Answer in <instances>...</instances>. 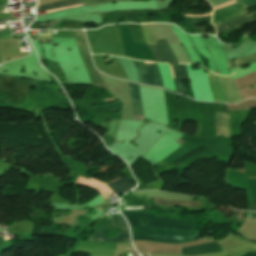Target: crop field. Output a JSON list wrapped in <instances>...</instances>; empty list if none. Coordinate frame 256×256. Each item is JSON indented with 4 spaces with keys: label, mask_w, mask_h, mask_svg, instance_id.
Masks as SVG:
<instances>
[{
    "label": "crop field",
    "mask_w": 256,
    "mask_h": 256,
    "mask_svg": "<svg viewBox=\"0 0 256 256\" xmlns=\"http://www.w3.org/2000/svg\"><path fill=\"white\" fill-rule=\"evenodd\" d=\"M152 198V197H149ZM154 199L155 204H161V205H168V206H174V205H185L190 207H200L201 201H185V200H173L168 199L169 201H166V199L162 198H152Z\"/></svg>",
    "instance_id": "crop-field-12"
},
{
    "label": "crop field",
    "mask_w": 256,
    "mask_h": 256,
    "mask_svg": "<svg viewBox=\"0 0 256 256\" xmlns=\"http://www.w3.org/2000/svg\"><path fill=\"white\" fill-rule=\"evenodd\" d=\"M124 216H142L150 224L182 226L187 228H170L153 225H143L140 217H126L131 231L133 240L146 239L159 242L181 243L182 240L194 239L195 230L192 223L185 221H175L168 217L155 216L148 212H122Z\"/></svg>",
    "instance_id": "crop-field-1"
},
{
    "label": "crop field",
    "mask_w": 256,
    "mask_h": 256,
    "mask_svg": "<svg viewBox=\"0 0 256 256\" xmlns=\"http://www.w3.org/2000/svg\"><path fill=\"white\" fill-rule=\"evenodd\" d=\"M129 83V82H128ZM133 101L134 119L143 120L142 100L139 85L129 83Z\"/></svg>",
    "instance_id": "crop-field-9"
},
{
    "label": "crop field",
    "mask_w": 256,
    "mask_h": 256,
    "mask_svg": "<svg viewBox=\"0 0 256 256\" xmlns=\"http://www.w3.org/2000/svg\"><path fill=\"white\" fill-rule=\"evenodd\" d=\"M227 122L228 114L214 112L213 127L216 136L222 135L228 137Z\"/></svg>",
    "instance_id": "crop-field-10"
},
{
    "label": "crop field",
    "mask_w": 256,
    "mask_h": 256,
    "mask_svg": "<svg viewBox=\"0 0 256 256\" xmlns=\"http://www.w3.org/2000/svg\"><path fill=\"white\" fill-rule=\"evenodd\" d=\"M183 254L187 256H197L207 253H217L225 250L218 242L187 246L182 249Z\"/></svg>",
    "instance_id": "crop-field-7"
},
{
    "label": "crop field",
    "mask_w": 256,
    "mask_h": 256,
    "mask_svg": "<svg viewBox=\"0 0 256 256\" xmlns=\"http://www.w3.org/2000/svg\"><path fill=\"white\" fill-rule=\"evenodd\" d=\"M256 62V54L244 57L235 61H227L228 67L231 69H235L239 66L247 65V64H252Z\"/></svg>",
    "instance_id": "crop-field-14"
},
{
    "label": "crop field",
    "mask_w": 256,
    "mask_h": 256,
    "mask_svg": "<svg viewBox=\"0 0 256 256\" xmlns=\"http://www.w3.org/2000/svg\"><path fill=\"white\" fill-rule=\"evenodd\" d=\"M133 62L138 70L139 80L141 83L163 87L160 72L156 63L152 64V62H146V64H152L146 66L145 62H139L136 60H133Z\"/></svg>",
    "instance_id": "crop-field-5"
},
{
    "label": "crop field",
    "mask_w": 256,
    "mask_h": 256,
    "mask_svg": "<svg viewBox=\"0 0 256 256\" xmlns=\"http://www.w3.org/2000/svg\"><path fill=\"white\" fill-rule=\"evenodd\" d=\"M42 38H45L44 34H41Z\"/></svg>",
    "instance_id": "crop-field-18"
},
{
    "label": "crop field",
    "mask_w": 256,
    "mask_h": 256,
    "mask_svg": "<svg viewBox=\"0 0 256 256\" xmlns=\"http://www.w3.org/2000/svg\"><path fill=\"white\" fill-rule=\"evenodd\" d=\"M237 1L239 3H237L235 0H232L214 8V11H215L220 8L237 3L232 6H229L214 12L212 23L214 24L215 27L218 24H221L229 19L244 16L245 8L256 5V0H237Z\"/></svg>",
    "instance_id": "crop-field-3"
},
{
    "label": "crop field",
    "mask_w": 256,
    "mask_h": 256,
    "mask_svg": "<svg viewBox=\"0 0 256 256\" xmlns=\"http://www.w3.org/2000/svg\"><path fill=\"white\" fill-rule=\"evenodd\" d=\"M253 204H256V199H253ZM252 211H256V205H253V210Z\"/></svg>",
    "instance_id": "crop-field-16"
},
{
    "label": "crop field",
    "mask_w": 256,
    "mask_h": 256,
    "mask_svg": "<svg viewBox=\"0 0 256 256\" xmlns=\"http://www.w3.org/2000/svg\"><path fill=\"white\" fill-rule=\"evenodd\" d=\"M157 62H167L158 45L147 44Z\"/></svg>",
    "instance_id": "crop-field-15"
},
{
    "label": "crop field",
    "mask_w": 256,
    "mask_h": 256,
    "mask_svg": "<svg viewBox=\"0 0 256 256\" xmlns=\"http://www.w3.org/2000/svg\"><path fill=\"white\" fill-rule=\"evenodd\" d=\"M106 100H115V99H105V101H106Z\"/></svg>",
    "instance_id": "crop-field-19"
},
{
    "label": "crop field",
    "mask_w": 256,
    "mask_h": 256,
    "mask_svg": "<svg viewBox=\"0 0 256 256\" xmlns=\"http://www.w3.org/2000/svg\"><path fill=\"white\" fill-rule=\"evenodd\" d=\"M118 179H120V178H118ZM118 179H116V180H118ZM113 181H115V180H113ZM113 181H111V182H113ZM129 181H132L131 179H129L128 177H126V178H124V179H120V180H118V181H115V182H113V183H110V184H108V183H106V184H108V186L116 193V195L118 196V195H121L122 193H125V192H127L128 190H130V189H132V188H134L135 186L134 185H132V184H127V182H129Z\"/></svg>",
    "instance_id": "crop-field-11"
},
{
    "label": "crop field",
    "mask_w": 256,
    "mask_h": 256,
    "mask_svg": "<svg viewBox=\"0 0 256 256\" xmlns=\"http://www.w3.org/2000/svg\"><path fill=\"white\" fill-rule=\"evenodd\" d=\"M76 37V41L78 43L80 55L82 57V60L89 72L91 82L94 86L106 88L104 82L99 77L98 72L94 69L93 63L91 61L89 49L85 40L84 32L81 30L73 31ZM107 89V88H106Z\"/></svg>",
    "instance_id": "crop-field-4"
},
{
    "label": "crop field",
    "mask_w": 256,
    "mask_h": 256,
    "mask_svg": "<svg viewBox=\"0 0 256 256\" xmlns=\"http://www.w3.org/2000/svg\"><path fill=\"white\" fill-rule=\"evenodd\" d=\"M214 101L236 103L243 100L231 77H219L208 73Z\"/></svg>",
    "instance_id": "crop-field-2"
},
{
    "label": "crop field",
    "mask_w": 256,
    "mask_h": 256,
    "mask_svg": "<svg viewBox=\"0 0 256 256\" xmlns=\"http://www.w3.org/2000/svg\"><path fill=\"white\" fill-rule=\"evenodd\" d=\"M169 66H170L173 78H174V74L176 76V78L173 79L174 83H175L176 91L180 94L186 92L188 96L192 97L191 89L190 88L186 89L183 86V84L181 83V81H183L184 79H187L184 65L183 64H172L174 74H173L171 64H169Z\"/></svg>",
    "instance_id": "crop-field-8"
},
{
    "label": "crop field",
    "mask_w": 256,
    "mask_h": 256,
    "mask_svg": "<svg viewBox=\"0 0 256 256\" xmlns=\"http://www.w3.org/2000/svg\"><path fill=\"white\" fill-rule=\"evenodd\" d=\"M106 196H108V195H105V196H103V197H106Z\"/></svg>",
    "instance_id": "crop-field-20"
},
{
    "label": "crop field",
    "mask_w": 256,
    "mask_h": 256,
    "mask_svg": "<svg viewBox=\"0 0 256 256\" xmlns=\"http://www.w3.org/2000/svg\"><path fill=\"white\" fill-rule=\"evenodd\" d=\"M113 1H120V0H64V1H60V2H55V3H50V4L39 6L37 11L61 8V7H65V6H69V5H73V4H77V3H84V5H95V4L107 3V2H113ZM82 5L83 4H78V5L65 7V8H61V9L49 10L46 12L50 13V12L63 10V9L71 8V7L82 6Z\"/></svg>",
    "instance_id": "crop-field-6"
},
{
    "label": "crop field",
    "mask_w": 256,
    "mask_h": 256,
    "mask_svg": "<svg viewBox=\"0 0 256 256\" xmlns=\"http://www.w3.org/2000/svg\"><path fill=\"white\" fill-rule=\"evenodd\" d=\"M202 149L203 148L194 145L171 162L177 166V165L181 164L182 162H184L185 160L192 157L193 155H195L196 153H198L199 151H201Z\"/></svg>",
    "instance_id": "crop-field-13"
},
{
    "label": "crop field",
    "mask_w": 256,
    "mask_h": 256,
    "mask_svg": "<svg viewBox=\"0 0 256 256\" xmlns=\"http://www.w3.org/2000/svg\"><path fill=\"white\" fill-rule=\"evenodd\" d=\"M247 216L256 217V214H254V213H248Z\"/></svg>",
    "instance_id": "crop-field-17"
}]
</instances>
